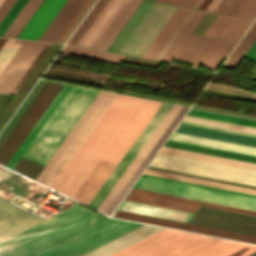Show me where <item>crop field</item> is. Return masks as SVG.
Listing matches in <instances>:
<instances>
[{
    "label": "crop field",
    "instance_id": "1",
    "mask_svg": "<svg viewBox=\"0 0 256 256\" xmlns=\"http://www.w3.org/2000/svg\"><path fill=\"white\" fill-rule=\"evenodd\" d=\"M160 105L118 95L51 188L88 204Z\"/></svg>",
    "mask_w": 256,
    "mask_h": 256
},
{
    "label": "crop field",
    "instance_id": "2",
    "mask_svg": "<svg viewBox=\"0 0 256 256\" xmlns=\"http://www.w3.org/2000/svg\"><path fill=\"white\" fill-rule=\"evenodd\" d=\"M256 246L164 228L110 256H249Z\"/></svg>",
    "mask_w": 256,
    "mask_h": 256
},
{
    "label": "crop field",
    "instance_id": "3",
    "mask_svg": "<svg viewBox=\"0 0 256 256\" xmlns=\"http://www.w3.org/2000/svg\"><path fill=\"white\" fill-rule=\"evenodd\" d=\"M102 217L75 205L0 242V256H24Z\"/></svg>",
    "mask_w": 256,
    "mask_h": 256
},
{
    "label": "crop field",
    "instance_id": "4",
    "mask_svg": "<svg viewBox=\"0 0 256 256\" xmlns=\"http://www.w3.org/2000/svg\"><path fill=\"white\" fill-rule=\"evenodd\" d=\"M97 93L73 86L22 158L44 165Z\"/></svg>",
    "mask_w": 256,
    "mask_h": 256
},
{
    "label": "crop field",
    "instance_id": "5",
    "mask_svg": "<svg viewBox=\"0 0 256 256\" xmlns=\"http://www.w3.org/2000/svg\"><path fill=\"white\" fill-rule=\"evenodd\" d=\"M141 225L105 217L27 256H80Z\"/></svg>",
    "mask_w": 256,
    "mask_h": 256
},
{
    "label": "crop field",
    "instance_id": "6",
    "mask_svg": "<svg viewBox=\"0 0 256 256\" xmlns=\"http://www.w3.org/2000/svg\"><path fill=\"white\" fill-rule=\"evenodd\" d=\"M6 39L1 38L0 47ZM51 43L7 39L0 49V94L13 90L43 45Z\"/></svg>",
    "mask_w": 256,
    "mask_h": 256
},
{
    "label": "crop field",
    "instance_id": "7",
    "mask_svg": "<svg viewBox=\"0 0 256 256\" xmlns=\"http://www.w3.org/2000/svg\"><path fill=\"white\" fill-rule=\"evenodd\" d=\"M150 165L256 185V171L203 162L188 158L158 153Z\"/></svg>",
    "mask_w": 256,
    "mask_h": 256
},
{
    "label": "crop field",
    "instance_id": "8",
    "mask_svg": "<svg viewBox=\"0 0 256 256\" xmlns=\"http://www.w3.org/2000/svg\"><path fill=\"white\" fill-rule=\"evenodd\" d=\"M134 188L182 196L256 211V199L140 177Z\"/></svg>",
    "mask_w": 256,
    "mask_h": 256
},
{
    "label": "crop field",
    "instance_id": "9",
    "mask_svg": "<svg viewBox=\"0 0 256 256\" xmlns=\"http://www.w3.org/2000/svg\"><path fill=\"white\" fill-rule=\"evenodd\" d=\"M176 9L153 2L118 52L142 57Z\"/></svg>",
    "mask_w": 256,
    "mask_h": 256
},
{
    "label": "crop field",
    "instance_id": "10",
    "mask_svg": "<svg viewBox=\"0 0 256 256\" xmlns=\"http://www.w3.org/2000/svg\"><path fill=\"white\" fill-rule=\"evenodd\" d=\"M172 107L171 104H165L162 103V105L159 107V109L156 111L154 116L151 118V120L148 122L146 127L143 129V131L140 133L138 138L135 140V142L132 144L130 149L127 151V153L124 155V157L121 159L119 164L116 166V168L113 170L111 175L108 177V179L105 181L103 186L100 188V190L97 192L95 197L92 199V201L89 203V206L97 209V207L100 205V203L103 201V199L106 197L108 192L111 190V188L114 186V184L117 182L119 177L122 175V173L125 171V169L128 167L130 162L133 160V158L136 156V154L139 152L141 147L144 145V143L147 141V139L150 137L152 132L155 130V128L158 126V124L161 122L163 117L166 115V113L169 111V109Z\"/></svg>",
    "mask_w": 256,
    "mask_h": 256
},
{
    "label": "crop field",
    "instance_id": "11",
    "mask_svg": "<svg viewBox=\"0 0 256 256\" xmlns=\"http://www.w3.org/2000/svg\"><path fill=\"white\" fill-rule=\"evenodd\" d=\"M126 200L194 213L199 205L256 215L255 211L131 188Z\"/></svg>",
    "mask_w": 256,
    "mask_h": 256
},
{
    "label": "crop field",
    "instance_id": "12",
    "mask_svg": "<svg viewBox=\"0 0 256 256\" xmlns=\"http://www.w3.org/2000/svg\"><path fill=\"white\" fill-rule=\"evenodd\" d=\"M112 216L153 223L157 225L167 226V227L186 230V231H192V232H197L202 234H208V235H213L218 237L256 243V236L232 232V231H226V230H221V229H216V228H211V227H206V226H201V225H196L191 223L178 222V221L146 216L141 214H135V213L119 211V210H116Z\"/></svg>",
    "mask_w": 256,
    "mask_h": 256
},
{
    "label": "crop field",
    "instance_id": "13",
    "mask_svg": "<svg viewBox=\"0 0 256 256\" xmlns=\"http://www.w3.org/2000/svg\"><path fill=\"white\" fill-rule=\"evenodd\" d=\"M180 109H181L180 106L173 105V107L170 109V111L164 117L162 122L159 124V126L156 128V130L153 132L151 137L148 139V141L142 147L140 152L137 154V156L131 162L129 167L126 169V171L120 177L118 182L115 184V186L109 192V194L107 195V197L104 199V201L101 203V205L98 207L97 210L104 213V211L107 209V207L110 205V203L116 197V195L119 193L121 188L124 186V184L130 178V176L133 174L135 169L138 167V165L141 163V161L144 159V157L147 155V153L150 151L152 146L155 144V142L158 140V138L161 136V134L164 132L166 127L169 125V123L172 121V119L175 117V115L178 113V111Z\"/></svg>",
    "mask_w": 256,
    "mask_h": 256
},
{
    "label": "crop field",
    "instance_id": "14",
    "mask_svg": "<svg viewBox=\"0 0 256 256\" xmlns=\"http://www.w3.org/2000/svg\"><path fill=\"white\" fill-rule=\"evenodd\" d=\"M117 96V94L108 93V95L105 97V99L102 101V103L99 105V107L96 109L94 114L91 116V118L88 120V122L85 124V126L82 128L80 133L77 135V137L74 139V141L71 143L69 148L66 150V152L63 154V156L60 158V160L57 162L55 167L52 169V171L49 173V175L46 177V179L43 181V184L50 187V185L53 183V181L56 179V177L59 175L61 170L64 168V166L67 164V162L70 160L72 155L75 153V151L78 149V147L81 145L83 140L86 138V136L89 134V132L92 130V128L95 126L97 121L100 119V117L103 115V113L106 111L108 106L111 104V102L114 100V98Z\"/></svg>",
    "mask_w": 256,
    "mask_h": 256
},
{
    "label": "crop field",
    "instance_id": "15",
    "mask_svg": "<svg viewBox=\"0 0 256 256\" xmlns=\"http://www.w3.org/2000/svg\"><path fill=\"white\" fill-rule=\"evenodd\" d=\"M40 221L42 220L0 200V241Z\"/></svg>",
    "mask_w": 256,
    "mask_h": 256
},
{
    "label": "crop field",
    "instance_id": "16",
    "mask_svg": "<svg viewBox=\"0 0 256 256\" xmlns=\"http://www.w3.org/2000/svg\"><path fill=\"white\" fill-rule=\"evenodd\" d=\"M66 0H44L17 37L38 40Z\"/></svg>",
    "mask_w": 256,
    "mask_h": 256
},
{
    "label": "crop field",
    "instance_id": "17",
    "mask_svg": "<svg viewBox=\"0 0 256 256\" xmlns=\"http://www.w3.org/2000/svg\"><path fill=\"white\" fill-rule=\"evenodd\" d=\"M126 1L109 0L77 45L93 48Z\"/></svg>",
    "mask_w": 256,
    "mask_h": 256
},
{
    "label": "crop field",
    "instance_id": "18",
    "mask_svg": "<svg viewBox=\"0 0 256 256\" xmlns=\"http://www.w3.org/2000/svg\"><path fill=\"white\" fill-rule=\"evenodd\" d=\"M106 95H107L106 92L99 91V93L96 95V97L90 103L88 108L85 110V112L79 118L77 123L74 125V127L71 129V131L68 133L66 138L63 140V142L57 148L55 153L52 155V157L49 159V161L46 163V165L38 173V175L35 178V179H37V181L42 183V181L45 179V177L48 175V173L54 167L56 162L59 160V158L65 152V150L68 148L70 143L73 141V139L79 133L81 128L84 126V124L87 122V120L90 118V116L93 114L95 109L98 107V105L101 103V101L104 99V97Z\"/></svg>",
    "mask_w": 256,
    "mask_h": 256
},
{
    "label": "crop field",
    "instance_id": "19",
    "mask_svg": "<svg viewBox=\"0 0 256 256\" xmlns=\"http://www.w3.org/2000/svg\"><path fill=\"white\" fill-rule=\"evenodd\" d=\"M217 41L216 38L191 34L175 59L192 63L197 67L201 65Z\"/></svg>",
    "mask_w": 256,
    "mask_h": 256
},
{
    "label": "crop field",
    "instance_id": "20",
    "mask_svg": "<svg viewBox=\"0 0 256 256\" xmlns=\"http://www.w3.org/2000/svg\"><path fill=\"white\" fill-rule=\"evenodd\" d=\"M160 229H162V227L143 225L82 256H108Z\"/></svg>",
    "mask_w": 256,
    "mask_h": 256
},
{
    "label": "crop field",
    "instance_id": "21",
    "mask_svg": "<svg viewBox=\"0 0 256 256\" xmlns=\"http://www.w3.org/2000/svg\"><path fill=\"white\" fill-rule=\"evenodd\" d=\"M188 110L186 107H182V109L179 111V113L176 115V117L173 119V121L170 123V125L167 127L165 132L162 134V136L159 138V140L156 142V144L153 146L151 151L148 153V155L145 157V159L142 161V163L139 165V167L136 169L134 174L131 176V178L128 180V182L125 184V186L122 188L120 193L117 195V197L114 199V201L111 203V205L108 207V209L105 211V214L109 215L113 212V210L116 208V206L119 204L121 199L124 197V195L127 193V191L130 189L132 184L135 182V180L138 178V176L141 174L143 169L146 167V165L149 163V161L152 159V157L155 155L157 150L160 148V146L163 144V142L166 140L168 135L171 133V131L174 129V127L177 125L179 120L182 118V116L185 114V112Z\"/></svg>",
    "mask_w": 256,
    "mask_h": 256
},
{
    "label": "crop field",
    "instance_id": "22",
    "mask_svg": "<svg viewBox=\"0 0 256 256\" xmlns=\"http://www.w3.org/2000/svg\"><path fill=\"white\" fill-rule=\"evenodd\" d=\"M71 88H72L71 85L64 84V86L61 88L59 93L56 95V97L53 99L51 104L48 106V108L45 110L43 115L40 117L38 122L35 124V126L32 128L30 133L27 135L25 140L19 146L17 151L14 153L12 158L6 164V167L12 169V167L15 165V163L18 161V159L24 153L26 148L29 146V144L32 142V140L35 138V136L38 134V132L43 127V125L46 123V121L49 119V117L52 115V113L55 111L57 106L60 104V102L63 100V98L66 96V94L69 92V90Z\"/></svg>",
    "mask_w": 256,
    "mask_h": 256
},
{
    "label": "crop field",
    "instance_id": "23",
    "mask_svg": "<svg viewBox=\"0 0 256 256\" xmlns=\"http://www.w3.org/2000/svg\"><path fill=\"white\" fill-rule=\"evenodd\" d=\"M176 132L256 146V137L179 123Z\"/></svg>",
    "mask_w": 256,
    "mask_h": 256
},
{
    "label": "crop field",
    "instance_id": "24",
    "mask_svg": "<svg viewBox=\"0 0 256 256\" xmlns=\"http://www.w3.org/2000/svg\"><path fill=\"white\" fill-rule=\"evenodd\" d=\"M169 139L202 145V146L213 147V148H219V149H224L229 151L256 155V147H250V146L229 143V142H224L219 140H213V139H208L203 137H197V136H192L187 134L173 132L172 135L169 137Z\"/></svg>",
    "mask_w": 256,
    "mask_h": 256
},
{
    "label": "crop field",
    "instance_id": "25",
    "mask_svg": "<svg viewBox=\"0 0 256 256\" xmlns=\"http://www.w3.org/2000/svg\"><path fill=\"white\" fill-rule=\"evenodd\" d=\"M119 210H125L130 212H136L141 214H147L157 217H163L168 219H174L179 221L187 222L188 219L191 217V213L131 202L123 200L121 205L118 207Z\"/></svg>",
    "mask_w": 256,
    "mask_h": 256
},
{
    "label": "crop field",
    "instance_id": "26",
    "mask_svg": "<svg viewBox=\"0 0 256 256\" xmlns=\"http://www.w3.org/2000/svg\"><path fill=\"white\" fill-rule=\"evenodd\" d=\"M84 0H68L39 40L54 41Z\"/></svg>",
    "mask_w": 256,
    "mask_h": 256
},
{
    "label": "crop field",
    "instance_id": "27",
    "mask_svg": "<svg viewBox=\"0 0 256 256\" xmlns=\"http://www.w3.org/2000/svg\"><path fill=\"white\" fill-rule=\"evenodd\" d=\"M160 152L166 153V154L182 156V157L198 159V160H203V161L224 164V165H230V166H235V167H240V168L256 170L255 163L239 161V160H234V159H229V158H224V157H218V156L202 154V153H197V152H192V151H186V150H181V149H176V148H170V147H165V146H162Z\"/></svg>",
    "mask_w": 256,
    "mask_h": 256
},
{
    "label": "crop field",
    "instance_id": "28",
    "mask_svg": "<svg viewBox=\"0 0 256 256\" xmlns=\"http://www.w3.org/2000/svg\"><path fill=\"white\" fill-rule=\"evenodd\" d=\"M188 11L187 8L178 7L143 57L154 59Z\"/></svg>",
    "mask_w": 256,
    "mask_h": 256
},
{
    "label": "crop field",
    "instance_id": "29",
    "mask_svg": "<svg viewBox=\"0 0 256 256\" xmlns=\"http://www.w3.org/2000/svg\"><path fill=\"white\" fill-rule=\"evenodd\" d=\"M60 53L80 56V57H85V58H90V59H95L100 61H106V62H111L116 64H119L124 57V55H121V54L110 53V52L78 47L73 45H65V47L61 50Z\"/></svg>",
    "mask_w": 256,
    "mask_h": 256
},
{
    "label": "crop field",
    "instance_id": "30",
    "mask_svg": "<svg viewBox=\"0 0 256 256\" xmlns=\"http://www.w3.org/2000/svg\"><path fill=\"white\" fill-rule=\"evenodd\" d=\"M206 14L205 11H199L196 10V12L193 14V16L190 18L188 23L185 25V27L182 29L180 34L177 36L175 41L172 43V45L169 47L167 52L164 54V56L161 58L162 61L171 62V60L174 58V56L177 54L179 49L182 47V45L185 43L187 38L190 36L192 31L195 29V27L198 25L200 20L203 18V16Z\"/></svg>",
    "mask_w": 256,
    "mask_h": 256
},
{
    "label": "crop field",
    "instance_id": "31",
    "mask_svg": "<svg viewBox=\"0 0 256 256\" xmlns=\"http://www.w3.org/2000/svg\"><path fill=\"white\" fill-rule=\"evenodd\" d=\"M252 21L227 16L214 37L238 41Z\"/></svg>",
    "mask_w": 256,
    "mask_h": 256
},
{
    "label": "crop field",
    "instance_id": "32",
    "mask_svg": "<svg viewBox=\"0 0 256 256\" xmlns=\"http://www.w3.org/2000/svg\"><path fill=\"white\" fill-rule=\"evenodd\" d=\"M151 4H152L151 1L143 0V2L140 4V6L137 8V10L134 12V14L131 16V18L128 20V22L125 24V26L119 32V34L116 36V38L110 44V46L107 48L108 51L117 52V50L123 44L125 39L131 33L133 28L136 26L138 21L141 19V17L144 15V13L146 12V10L149 8V6Z\"/></svg>",
    "mask_w": 256,
    "mask_h": 256
},
{
    "label": "crop field",
    "instance_id": "33",
    "mask_svg": "<svg viewBox=\"0 0 256 256\" xmlns=\"http://www.w3.org/2000/svg\"><path fill=\"white\" fill-rule=\"evenodd\" d=\"M256 39V20L242 37L240 42L228 56L226 61L223 63V67L234 69L249 47Z\"/></svg>",
    "mask_w": 256,
    "mask_h": 256
},
{
    "label": "crop field",
    "instance_id": "34",
    "mask_svg": "<svg viewBox=\"0 0 256 256\" xmlns=\"http://www.w3.org/2000/svg\"><path fill=\"white\" fill-rule=\"evenodd\" d=\"M164 145L165 146H170V147L186 149V150L202 152V153L218 155V156H224V157H229V158H234V159H240V160H245V161H250V162H255L256 163V156H251V155H246V154L229 152V151L213 149V148H208V147H202V146L186 144V143L170 141V140H167Z\"/></svg>",
    "mask_w": 256,
    "mask_h": 256
},
{
    "label": "crop field",
    "instance_id": "35",
    "mask_svg": "<svg viewBox=\"0 0 256 256\" xmlns=\"http://www.w3.org/2000/svg\"><path fill=\"white\" fill-rule=\"evenodd\" d=\"M42 1L43 0H28L3 36L16 37Z\"/></svg>",
    "mask_w": 256,
    "mask_h": 256
},
{
    "label": "crop field",
    "instance_id": "36",
    "mask_svg": "<svg viewBox=\"0 0 256 256\" xmlns=\"http://www.w3.org/2000/svg\"><path fill=\"white\" fill-rule=\"evenodd\" d=\"M235 42L219 39L205 61L202 63L207 69L214 70L218 68L222 60L228 55L235 46Z\"/></svg>",
    "mask_w": 256,
    "mask_h": 256
},
{
    "label": "crop field",
    "instance_id": "37",
    "mask_svg": "<svg viewBox=\"0 0 256 256\" xmlns=\"http://www.w3.org/2000/svg\"><path fill=\"white\" fill-rule=\"evenodd\" d=\"M183 120L256 134V128L247 127V126H241V125L225 123V122H220V121H215V120H209V119H204V118H199V117H193V116H188V115H185Z\"/></svg>",
    "mask_w": 256,
    "mask_h": 256
},
{
    "label": "crop field",
    "instance_id": "38",
    "mask_svg": "<svg viewBox=\"0 0 256 256\" xmlns=\"http://www.w3.org/2000/svg\"><path fill=\"white\" fill-rule=\"evenodd\" d=\"M108 0H98L95 6L92 8V10L89 12L87 17L84 19L82 24L79 26V28L76 30L74 35L71 37V39L68 41L69 44L76 45V43L79 41V39L82 37L84 32L87 30V28L90 26L92 21L95 19L97 14L100 12V10L103 8L105 3Z\"/></svg>",
    "mask_w": 256,
    "mask_h": 256
},
{
    "label": "crop field",
    "instance_id": "39",
    "mask_svg": "<svg viewBox=\"0 0 256 256\" xmlns=\"http://www.w3.org/2000/svg\"><path fill=\"white\" fill-rule=\"evenodd\" d=\"M191 109L198 110V109H193V108H191ZM192 110H189V112H188L189 115L200 116V117H205V118H210V119H216V120L256 127V122H251V121H256V120L246 119V118H241V117H236V116H230V115H225V114H220V113H214V112H209V111H204V110H198V111H203V112H208V113H214V114H219V115H224V116H230V117H235V118H240V119L251 120V121H246V120H240V119L224 117V116H219V115H214V114H208V113H203V112H198V111H192Z\"/></svg>",
    "mask_w": 256,
    "mask_h": 256
},
{
    "label": "crop field",
    "instance_id": "40",
    "mask_svg": "<svg viewBox=\"0 0 256 256\" xmlns=\"http://www.w3.org/2000/svg\"><path fill=\"white\" fill-rule=\"evenodd\" d=\"M27 0H16V2L13 4L11 9L8 11L6 16L3 18V20L0 22V36L5 32V30L8 28L10 23L13 21V19L16 17L18 12L21 10L23 5L26 3Z\"/></svg>",
    "mask_w": 256,
    "mask_h": 256
},
{
    "label": "crop field",
    "instance_id": "41",
    "mask_svg": "<svg viewBox=\"0 0 256 256\" xmlns=\"http://www.w3.org/2000/svg\"><path fill=\"white\" fill-rule=\"evenodd\" d=\"M244 1L245 0H222L214 12L234 16Z\"/></svg>",
    "mask_w": 256,
    "mask_h": 256
},
{
    "label": "crop field",
    "instance_id": "42",
    "mask_svg": "<svg viewBox=\"0 0 256 256\" xmlns=\"http://www.w3.org/2000/svg\"><path fill=\"white\" fill-rule=\"evenodd\" d=\"M142 2V0H136L133 5L130 7L128 12L125 14V16L122 18L120 23L117 25L115 30L112 32V34L109 36L107 41L104 43V45L101 47V49L106 50V48L109 46V44L112 42V40L115 38V36L118 34V32L121 30V28L124 26V24L127 22V20L130 18V16L133 14V12L136 10V8L139 6V4Z\"/></svg>",
    "mask_w": 256,
    "mask_h": 256
},
{
    "label": "crop field",
    "instance_id": "43",
    "mask_svg": "<svg viewBox=\"0 0 256 256\" xmlns=\"http://www.w3.org/2000/svg\"><path fill=\"white\" fill-rule=\"evenodd\" d=\"M195 12V10L190 9V11L187 13V15L184 17V19L182 20V22L179 24V26L176 28V30L174 31V33L171 35V37L169 38V40L166 42V44L163 46V48L161 49V51L158 53V55L155 57V59L160 60V58L163 56V54L166 52V50L168 49V47L171 45V43L174 41V39L176 38V36L179 34V32L181 31V29L184 27V25L187 23V21L189 20V18L192 16V14Z\"/></svg>",
    "mask_w": 256,
    "mask_h": 256
},
{
    "label": "crop field",
    "instance_id": "44",
    "mask_svg": "<svg viewBox=\"0 0 256 256\" xmlns=\"http://www.w3.org/2000/svg\"><path fill=\"white\" fill-rule=\"evenodd\" d=\"M235 16L254 19L256 16V0H246Z\"/></svg>",
    "mask_w": 256,
    "mask_h": 256
},
{
    "label": "crop field",
    "instance_id": "45",
    "mask_svg": "<svg viewBox=\"0 0 256 256\" xmlns=\"http://www.w3.org/2000/svg\"><path fill=\"white\" fill-rule=\"evenodd\" d=\"M142 176L143 177H148V178H154V179H159V180H164V181H170V182H175V183H180V184H185V185H191V186H196V187L212 189V190H217V191L228 192V193H233V194H238V195H243V196H249V197L256 198V195H251V194H245V193H240V192H235V191H230V190H224V189H219V188H214V187H208V186H203V185H198V184H193V183H187V182H182V181H177V180H172V179H166V178H161V177H156V176H150V175H145V174H142Z\"/></svg>",
    "mask_w": 256,
    "mask_h": 256
},
{
    "label": "crop field",
    "instance_id": "46",
    "mask_svg": "<svg viewBox=\"0 0 256 256\" xmlns=\"http://www.w3.org/2000/svg\"><path fill=\"white\" fill-rule=\"evenodd\" d=\"M90 2L91 0L84 1V3L75 13V15L71 18V20L68 22V24L65 26V28L62 30V32L59 34L55 41L61 42V40L64 38V36L67 34V32L70 30V28L73 26V24L76 22V20L79 18V16L82 14V12L85 10V8L88 6Z\"/></svg>",
    "mask_w": 256,
    "mask_h": 256
},
{
    "label": "crop field",
    "instance_id": "47",
    "mask_svg": "<svg viewBox=\"0 0 256 256\" xmlns=\"http://www.w3.org/2000/svg\"><path fill=\"white\" fill-rule=\"evenodd\" d=\"M226 18L225 15H220L218 14L215 19L213 20V22L211 23V25L208 27V29L206 30V32L204 33L205 36H211L213 37V35L215 34V32L217 31V29L219 28V26L222 24V22L224 21V19Z\"/></svg>",
    "mask_w": 256,
    "mask_h": 256
},
{
    "label": "crop field",
    "instance_id": "48",
    "mask_svg": "<svg viewBox=\"0 0 256 256\" xmlns=\"http://www.w3.org/2000/svg\"><path fill=\"white\" fill-rule=\"evenodd\" d=\"M15 2V0H5L2 5L0 6V21L5 16L7 11L10 9L12 4Z\"/></svg>",
    "mask_w": 256,
    "mask_h": 256
},
{
    "label": "crop field",
    "instance_id": "49",
    "mask_svg": "<svg viewBox=\"0 0 256 256\" xmlns=\"http://www.w3.org/2000/svg\"><path fill=\"white\" fill-rule=\"evenodd\" d=\"M96 0H92V2L89 4V6L86 8V10L83 12L81 17L78 19V21L75 23V25L72 27V29L69 31V33L66 35V37L63 39V43L68 39V37L71 35V33L74 31V29L77 27V25L80 23V21L83 19V17L86 15V13L89 11V9L92 7V5L95 3Z\"/></svg>",
    "mask_w": 256,
    "mask_h": 256
},
{
    "label": "crop field",
    "instance_id": "50",
    "mask_svg": "<svg viewBox=\"0 0 256 256\" xmlns=\"http://www.w3.org/2000/svg\"><path fill=\"white\" fill-rule=\"evenodd\" d=\"M245 57L256 60V41L251 46V48L248 50V52L245 54Z\"/></svg>",
    "mask_w": 256,
    "mask_h": 256
},
{
    "label": "crop field",
    "instance_id": "51",
    "mask_svg": "<svg viewBox=\"0 0 256 256\" xmlns=\"http://www.w3.org/2000/svg\"><path fill=\"white\" fill-rule=\"evenodd\" d=\"M181 122H182V123H187V124H193V125L203 126V127H209V128L219 129V130H225V131L235 132V133H241V134H246V135H251V136H256V135H253V134H247V133H242V132H237V131H232V130H226V129L216 128V127H211V126H205V125H200V124H195V123H189V122H184V121H181Z\"/></svg>",
    "mask_w": 256,
    "mask_h": 256
},
{
    "label": "crop field",
    "instance_id": "52",
    "mask_svg": "<svg viewBox=\"0 0 256 256\" xmlns=\"http://www.w3.org/2000/svg\"><path fill=\"white\" fill-rule=\"evenodd\" d=\"M12 174H14V173L0 167V180L4 179Z\"/></svg>",
    "mask_w": 256,
    "mask_h": 256
},
{
    "label": "crop field",
    "instance_id": "53",
    "mask_svg": "<svg viewBox=\"0 0 256 256\" xmlns=\"http://www.w3.org/2000/svg\"><path fill=\"white\" fill-rule=\"evenodd\" d=\"M220 1L221 0H212V2L209 4L206 10L213 12V10L216 8V6L219 4Z\"/></svg>",
    "mask_w": 256,
    "mask_h": 256
},
{
    "label": "crop field",
    "instance_id": "54",
    "mask_svg": "<svg viewBox=\"0 0 256 256\" xmlns=\"http://www.w3.org/2000/svg\"><path fill=\"white\" fill-rule=\"evenodd\" d=\"M195 1L196 0H183L180 5L191 8Z\"/></svg>",
    "mask_w": 256,
    "mask_h": 256
},
{
    "label": "crop field",
    "instance_id": "55",
    "mask_svg": "<svg viewBox=\"0 0 256 256\" xmlns=\"http://www.w3.org/2000/svg\"><path fill=\"white\" fill-rule=\"evenodd\" d=\"M211 2V0H205L202 5L199 7L201 10H205V8L208 6V4Z\"/></svg>",
    "mask_w": 256,
    "mask_h": 256
},
{
    "label": "crop field",
    "instance_id": "56",
    "mask_svg": "<svg viewBox=\"0 0 256 256\" xmlns=\"http://www.w3.org/2000/svg\"><path fill=\"white\" fill-rule=\"evenodd\" d=\"M203 1H204V0H197L196 3L193 5L192 8L198 9V7L201 5V3H202Z\"/></svg>",
    "mask_w": 256,
    "mask_h": 256
},
{
    "label": "crop field",
    "instance_id": "57",
    "mask_svg": "<svg viewBox=\"0 0 256 256\" xmlns=\"http://www.w3.org/2000/svg\"><path fill=\"white\" fill-rule=\"evenodd\" d=\"M251 73L253 74L252 78H253V79H256V66H255V68L252 70Z\"/></svg>",
    "mask_w": 256,
    "mask_h": 256
},
{
    "label": "crop field",
    "instance_id": "58",
    "mask_svg": "<svg viewBox=\"0 0 256 256\" xmlns=\"http://www.w3.org/2000/svg\"><path fill=\"white\" fill-rule=\"evenodd\" d=\"M3 2V0H0V4Z\"/></svg>",
    "mask_w": 256,
    "mask_h": 256
},
{
    "label": "crop field",
    "instance_id": "59",
    "mask_svg": "<svg viewBox=\"0 0 256 256\" xmlns=\"http://www.w3.org/2000/svg\"><path fill=\"white\" fill-rule=\"evenodd\" d=\"M152 1H155V0H152Z\"/></svg>",
    "mask_w": 256,
    "mask_h": 256
}]
</instances>
